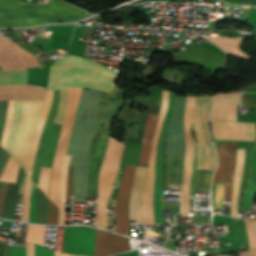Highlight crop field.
I'll use <instances>...</instances> for the list:
<instances>
[{"mask_svg": "<svg viewBox=\"0 0 256 256\" xmlns=\"http://www.w3.org/2000/svg\"><path fill=\"white\" fill-rule=\"evenodd\" d=\"M224 184L216 183L214 208L222 209L223 207Z\"/></svg>", "mask_w": 256, "mask_h": 256, "instance_id": "obj_34", "label": "crop field"}, {"mask_svg": "<svg viewBox=\"0 0 256 256\" xmlns=\"http://www.w3.org/2000/svg\"><path fill=\"white\" fill-rule=\"evenodd\" d=\"M251 223H252L253 235H254L255 246H256V221H251Z\"/></svg>", "mask_w": 256, "mask_h": 256, "instance_id": "obj_50", "label": "crop field"}, {"mask_svg": "<svg viewBox=\"0 0 256 256\" xmlns=\"http://www.w3.org/2000/svg\"><path fill=\"white\" fill-rule=\"evenodd\" d=\"M219 156V167L213 178V183H225L224 198H231L232 183L224 182L226 171V143L216 147Z\"/></svg>", "mask_w": 256, "mask_h": 256, "instance_id": "obj_19", "label": "crop field"}, {"mask_svg": "<svg viewBox=\"0 0 256 256\" xmlns=\"http://www.w3.org/2000/svg\"><path fill=\"white\" fill-rule=\"evenodd\" d=\"M10 256H26V248L11 246Z\"/></svg>", "mask_w": 256, "mask_h": 256, "instance_id": "obj_41", "label": "crop field"}, {"mask_svg": "<svg viewBox=\"0 0 256 256\" xmlns=\"http://www.w3.org/2000/svg\"><path fill=\"white\" fill-rule=\"evenodd\" d=\"M13 105H14V100L10 101L9 106H8L5 129H4V134H3V138H2V142H1V145L3 146V148L5 147V143H6V139H7V135H8L10 121H11V117H12V113H13Z\"/></svg>", "mask_w": 256, "mask_h": 256, "instance_id": "obj_35", "label": "crop field"}, {"mask_svg": "<svg viewBox=\"0 0 256 256\" xmlns=\"http://www.w3.org/2000/svg\"><path fill=\"white\" fill-rule=\"evenodd\" d=\"M36 202H37V186L31 182L29 222H32V223H35V220H36Z\"/></svg>", "mask_w": 256, "mask_h": 256, "instance_id": "obj_32", "label": "crop field"}, {"mask_svg": "<svg viewBox=\"0 0 256 256\" xmlns=\"http://www.w3.org/2000/svg\"><path fill=\"white\" fill-rule=\"evenodd\" d=\"M120 74L94 61L67 56L50 66L47 90L72 87L111 92Z\"/></svg>", "mask_w": 256, "mask_h": 256, "instance_id": "obj_1", "label": "crop field"}, {"mask_svg": "<svg viewBox=\"0 0 256 256\" xmlns=\"http://www.w3.org/2000/svg\"><path fill=\"white\" fill-rule=\"evenodd\" d=\"M34 256H54V251L48 248L42 247L35 243V255Z\"/></svg>", "mask_w": 256, "mask_h": 256, "instance_id": "obj_38", "label": "crop field"}, {"mask_svg": "<svg viewBox=\"0 0 256 256\" xmlns=\"http://www.w3.org/2000/svg\"><path fill=\"white\" fill-rule=\"evenodd\" d=\"M157 119H158V114H154V113L148 114L139 165H148L149 163L151 143H152Z\"/></svg>", "mask_w": 256, "mask_h": 256, "instance_id": "obj_18", "label": "crop field"}, {"mask_svg": "<svg viewBox=\"0 0 256 256\" xmlns=\"http://www.w3.org/2000/svg\"><path fill=\"white\" fill-rule=\"evenodd\" d=\"M81 90L79 88L69 89L68 96V106L63 123L60 139L58 142L57 150L55 153L53 165H52V175H51V186L49 198L58 205L59 199V188H60V178H61V169L66 153L73 121L75 118Z\"/></svg>", "mask_w": 256, "mask_h": 256, "instance_id": "obj_6", "label": "crop field"}, {"mask_svg": "<svg viewBox=\"0 0 256 256\" xmlns=\"http://www.w3.org/2000/svg\"><path fill=\"white\" fill-rule=\"evenodd\" d=\"M69 256H71V255H69Z\"/></svg>", "mask_w": 256, "mask_h": 256, "instance_id": "obj_56", "label": "crop field"}, {"mask_svg": "<svg viewBox=\"0 0 256 256\" xmlns=\"http://www.w3.org/2000/svg\"><path fill=\"white\" fill-rule=\"evenodd\" d=\"M176 93L171 91L168 110L164 122L163 129L160 133L158 147H157V160H156V185L153 198V210L155 216V224L162 223V199H163V151H164V138L170 121V117L174 107Z\"/></svg>", "mask_w": 256, "mask_h": 256, "instance_id": "obj_10", "label": "crop field"}, {"mask_svg": "<svg viewBox=\"0 0 256 256\" xmlns=\"http://www.w3.org/2000/svg\"><path fill=\"white\" fill-rule=\"evenodd\" d=\"M129 250V239L97 230L95 256H106Z\"/></svg>", "mask_w": 256, "mask_h": 256, "instance_id": "obj_15", "label": "crop field"}, {"mask_svg": "<svg viewBox=\"0 0 256 256\" xmlns=\"http://www.w3.org/2000/svg\"><path fill=\"white\" fill-rule=\"evenodd\" d=\"M46 227L28 225L26 242H36L43 246Z\"/></svg>", "mask_w": 256, "mask_h": 256, "instance_id": "obj_26", "label": "crop field"}, {"mask_svg": "<svg viewBox=\"0 0 256 256\" xmlns=\"http://www.w3.org/2000/svg\"><path fill=\"white\" fill-rule=\"evenodd\" d=\"M70 157L71 156H68V155L65 156L63 170H62V178H61L59 207L64 211H65V184H66L67 169H68Z\"/></svg>", "mask_w": 256, "mask_h": 256, "instance_id": "obj_29", "label": "crop field"}, {"mask_svg": "<svg viewBox=\"0 0 256 256\" xmlns=\"http://www.w3.org/2000/svg\"><path fill=\"white\" fill-rule=\"evenodd\" d=\"M26 69L0 72V84H26Z\"/></svg>", "mask_w": 256, "mask_h": 256, "instance_id": "obj_23", "label": "crop field"}, {"mask_svg": "<svg viewBox=\"0 0 256 256\" xmlns=\"http://www.w3.org/2000/svg\"><path fill=\"white\" fill-rule=\"evenodd\" d=\"M7 104H8V101L0 102V119H2L1 130H0V141H1V136H2L3 127H4Z\"/></svg>", "mask_w": 256, "mask_h": 256, "instance_id": "obj_39", "label": "crop field"}, {"mask_svg": "<svg viewBox=\"0 0 256 256\" xmlns=\"http://www.w3.org/2000/svg\"><path fill=\"white\" fill-rule=\"evenodd\" d=\"M58 224H65V213L59 209V222Z\"/></svg>", "mask_w": 256, "mask_h": 256, "instance_id": "obj_49", "label": "crop field"}, {"mask_svg": "<svg viewBox=\"0 0 256 256\" xmlns=\"http://www.w3.org/2000/svg\"><path fill=\"white\" fill-rule=\"evenodd\" d=\"M55 256H68V255L61 254V253H58V252L55 251Z\"/></svg>", "mask_w": 256, "mask_h": 256, "instance_id": "obj_51", "label": "crop field"}, {"mask_svg": "<svg viewBox=\"0 0 256 256\" xmlns=\"http://www.w3.org/2000/svg\"><path fill=\"white\" fill-rule=\"evenodd\" d=\"M45 88L29 85H0V100L43 99Z\"/></svg>", "mask_w": 256, "mask_h": 256, "instance_id": "obj_17", "label": "crop field"}, {"mask_svg": "<svg viewBox=\"0 0 256 256\" xmlns=\"http://www.w3.org/2000/svg\"><path fill=\"white\" fill-rule=\"evenodd\" d=\"M50 170L51 168L42 167L38 183V186L45 192L46 195L48 192Z\"/></svg>", "mask_w": 256, "mask_h": 256, "instance_id": "obj_33", "label": "crop field"}, {"mask_svg": "<svg viewBox=\"0 0 256 256\" xmlns=\"http://www.w3.org/2000/svg\"><path fill=\"white\" fill-rule=\"evenodd\" d=\"M212 175H197L195 189L210 190Z\"/></svg>", "mask_w": 256, "mask_h": 256, "instance_id": "obj_36", "label": "crop field"}, {"mask_svg": "<svg viewBox=\"0 0 256 256\" xmlns=\"http://www.w3.org/2000/svg\"><path fill=\"white\" fill-rule=\"evenodd\" d=\"M22 172L23 170L22 168H20L17 184L10 183L9 185L6 202H5V206H4L1 217L10 218V219H13L14 217L15 204H16V198H17V189L21 179Z\"/></svg>", "mask_w": 256, "mask_h": 256, "instance_id": "obj_22", "label": "crop field"}, {"mask_svg": "<svg viewBox=\"0 0 256 256\" xmlns=\"http://www.w3.org/2000/svg\"><path fill=\"white\" fill-rule=\"evenodd\" d=\"M47 221V198L38 188L37 221L36 223L46 224Z\"/></svg>", "mask_w": 256, "mask_h": 256, "instance_id": "obj_28", "label": "crop field"}, {"mask_svg": "<svg viewBox=\"0 0 256 256\" xmlns=\"http://www.w3.org/2000/svg\"><path fill=\"white\" fill-rule=\"evenodd\" d=\"M108 136V134H101L93 139L89 162L88 195L97 196L98 172L107 148Z\"/></svg>", "mask_w": 256, "mask_h": 256, "instance_id": "obj_14", "label": "crop field"}, {"mask_svg": "<svg viewBox=\"0 0 256 256\" xmlns=\"http://www.w3.org/2000/svg\"><path fill=\"white\" fill-rule=\"evenodd\" d=\"M91 14L70 4L49 0V6L19 0H0V27L73 21Z\"/></svg>", "mask_w": 256, "mask_h": 256, "instance_id": "obj_2", "label": "crop field"}, {"mask_svg": "<svg viewBox=\"0 0 256 256\" xmlns=\"http://www.w3.org/2000/svg\"><path fill=\"white\" fill-rule=\"evenodd\" d=\"M34 243H27V256H33Z\"/></svg>", "mask_w": 256, "mask_h": 256, "instance_id": "obj_48", "label": "crop field"}, {"mask_svg": "<svg viewBox=\"0 0 256 256\" xmlns=\"http://www.w3.org/2000/svg\"><path fill=\"white\" fill-rule=\"evenodd\" d=\"M96 230L86 227H65L63 253L94 256Z\"/></svg>", "mask_w": 256, "mask_h": 256, "instance_id": "obj_11", "label": "crop field"}, {"mask_svg": "<svg viewBox=\"0 0 256 256\" xmlns=\"http://www.w3.org/2000/svg\"><path fill=\"white\" fill-rule=\"evenodd\" d=\"M147 167L136 166L135 177L130 198L129 218H137L138 224L142 222V191L145 182Z\"/></svg>", "mask_w": 256, "mask_h": 256, "instance_id": "obj_16", "label": "crop field"}, {"mask_svg": "<svg viewBox=\"0 0 256 256\" xmlns=\"http://www.w3.org/2000/svg\"><path fill=\"white\" fill-rule=\"evenodd\" d=\"M114 256H124V253H122V254H118V255H114Z\"/></svg>", "mask_w": 256, "mask_h": 256, "instance_id": "obj_52", "label": "crop field"}, {"mask_svg": "<svg viewBox=\"0 0 256 256\" xmlns=\"http://www.w3.org/2000/svg\"><path fill=\"white\" fill-rule=\"evenodd\" d=\"M210 115L211 97H196L193 130L198 146L197 174H213L217 164L215 148L207 129Z\"/></svg>", "mask_w": 256, "mask_h": 256, "instance_id": "obj_5", "label": "crop field"}, {"mask_svg": "<svg viewBox=\"0 0 256 256\" xmlns=\"http://www.w3.org/2000/svg\"><path fill=\"white\" fill-rule=\"evenodd\" d=\"M29 199H30V180L26 179V185L24 190L23 212L21 221L28 222L29 215Z\"/></svg>", "mask_w": 256, "mask_h": 256, "instance_id": "obj_31", "label": "crop field"}, {"mask_svg": "<svg viewBox=\"0 0 256 256\" xmlns=\"http://www.w3.org/2000/svg\"><path fill=\"white\" fill-rule=\"evenodd\" d=\"M57 221H58V207L55 206L49 200L48 222H47V224H57Z\"/></svg>", "mask_w": 256, "mask_h": 256, "instance_id": "obj_37", "label": "crop field"}, {"mask_svg": "<svg viewBox=\"0 0 256 256\" xmlns=\"http://www.w3.org/2000/svg\"><path fill=\"white\" fill-rule=\"evenodd\" d=\"M227 154V174L225 181L232 182L234 174V164L236 159V143H227Z\"/></svg>", "mask_w": 256, "mask_h": 256, "instance_id": "obj_27", "label": "crop field"}, {"mask_svg": "<svg viewBox=\"0 0 256 256\" xmlns=\"http://www.w3.org/2000/svg\"><path fill=\"white\" fill-rule=\"evenodd\" d=\"M60 92V106L53 123H62L66 112L68 89L60 90Z\"/></svg>", "mask_w": 256, "mask_h": 256, "instance_id": "obj_30", "label": "crop field"}, {"mask_svg": "<svg viewBox=\"0 0 256 256\" xmlns=\"http://www.w3.org/2000/svg\"><path fill=\"white\" fill-rule=\"evenodd\" d=\"M10 246L0 243V256H9Z\"/></svg>", "mask_w": 256, "mask_h": 256, "instance_id": "obj_46", "label": "crop field"}, {"mask_svg": "<svg viewBox=\"0 0 256 256\" xmlns=\"http://www.w3.org/2000/svg\"><path fill=\"white\" fill-rule=\"evenodd\" d=\"M20 165L17 164L13 159L9 158L1 176V181L16 183Z\"/></svg>", "mask_w": 256, "mask_h": 256, "instance_id": "obj_25", "label": "crop field"}, {"mask_svg": "<svg viewBox=\"0 0 256 256\" xmlns=\"http://www.w3.org/2000/svg\"><path fill=\"white\" fill-rule=\"evenodd\" d=\"M40 66L34 55L12 41L0 37V67L2 70Z\"/></svg>", "mask_w": 256, "mask_h": 256, "instance_id": "obj_13", "label": "crop field"}, {"mask_svg": "<svg viewBox=\"0 0 256 256\" xmlns=\"http://www.w3.org/2000/svg\"><path fill=\"white\" fill-rule=\"evenodd\" d=\"M195 97H187L185 110L186 157L182 184V216H189V182L192 174L193 139L190 131L193 123Z\"/></svg>", "mask_w": 256, "mask_h": 256, "instance_id": "obj_9", "label": "crop field"}, {"mask_svg": "<svg viewBox=\"0 0 256 256\" xmlns=\"http://www.w3.org/2000/svg\"><path fill=\"white\" fill-rule=\"evenodd\" d=\"M245 222H246L250 247H251V249H253V248H255V246H254V241H253V236H252L251 223H250V221H246V220H245Z\"/></svg>", "mask_w": 256, "mask_h": 256, "instance_id": "obj_45", "label": "crop field"}, {"mask_svg": "<svg viewBox=\"0 0 256 256\" xmlns=\"http://www.w3.org/2000/svg\"><path fill=\"white\" fill-rule=\"evenodd\" d=\"M70 195H72V167H69V171H68L66 200H71Z\"/></svg>", "mask_w": 256, "mask_h": 256, "instance_id": "obj_40", "label": "crop field"}, {"mask_svg": "<svg viewBox=\"0 0 256 256\" xmlns=\"http://www.w3.org/2000/svg\"><path fill=\"white\" fill-rule=\"evenodd\" d=\"M250 185L248 187L247 192L245 193L243 197V212L246 211V209L249 206L250 202V196L251 193L253 192L256 184V145L252 150V156H251V173H250Z\"/></svg>", "mask_w": 256, "mask_h": 256, "instance_id": "obj_24", "label": "crop field"}, {"mask_svg": "<svg viewBox=\"0 0 256 256\" xmlns=\"http://www.w3.org/2000/svg\"><path fill=\"white\" fill-rule=\"evenodd\" d=\"M52 96H53L52 91H46L39 124H38L36 134H35L31 160H30V164H29V168H28V172H27V175L29 177H31V174H32L33 162H34V158H35V154H36V150H37V146H38L39 137L41 135V130H42L44 122H45V118H46V115H47V112H48V109L50 106Z\"/></svg>", "mask_w": 256, "mask_h": 256, "instance_id": "obj_20", "label": "crop field"}, {"mask_svg": "<svg viewBox=\"0 0 256 256\" xmlns=\"http://www.w3.org/2000/svg\"><path fill=\"white\" fill-rule=\"evenodd\" d=\"M217 256H225V255H217Z\"/></svg>", "mask_w": 256, "mask_h": 256, "instance_id": "obj_54", "label": "crop field"}, {"mask_svg": "<svg viewBox=\"0 0 256 256\" xmlns=\"http://www.w3.org/2000/svg\"><path fill=\"white\" fill-rule=\"evenodd\" d=\"M8 184L9 183L3 182L2 188H1V191H0V216H1L2 208H3V203H4L6 191H7V188H8Z\"/></svg>", "mask_w": 256, "mask_h": 256, "instance_id": "obj_42", "label": "crop field"}, {"mask_svg": "<svg viewBox=\"0 0 256 256\" xmlns=\"http://www.w3.org/2000/svg\"><path fill=\"white\" fill-rule=\"evenodd\" d=\"M240 93L215 95L212 119L236 120ZM214 139L254 141L255 123L212 120Z\"/></svg>", "mask_w": 256, "mask_h": 256, "instance_id": "obj_4", "label": "crop field"}, {"mask_svg": "<svg viewBox=\"0 0 256 256\" xmlns=\"http://www.w3.org/2000/svg\"><path fill=\"white\" fill-rule=\"evenodd\" d=\"M168 101H169V91L163 89L162 108L160 110V116H159L158 124L156 127V131H155L151 159L148 167V173H147V178H146V183H145V188L143 193L144 224H154V216L152 211V196H153L154 177H155L156 146H157L159 132L161 130L165 112L167 109Z\"/></svg>", "mask_w": 256, "mask_h": 256, "instance_id": "obj_8", "label": "crop field"}, {"mask_svg": "<svg viewBox=\"0 0 256 256\" xmlns=\"http://www.w3.org/2000/svg\"><path fill=\"white\" fill-rule=\"evenodd\" d=\"M9 156L3 151V149L0 146V174L8 160Z\"/></svg>", "mask_w": 256, "mask_h": 256, "instance_id": "obj_43", "label": "crop field"}, {"mask_svg": "<svg viewBox=\"0 0 256 256\" xmlns=\"http://www.w3.org/2000/svg\"><path fill=\"white\" fill-rule=\"evenodd\" d=\"M135 166L126 165L125 172L122 177L117 204L115 218V232L129 236L128 221V204L132 187Z\"/></svg>", "mask_w": 256, "mask_h": 256, "instance_id": "obj_12", "label": "crop field"}, {"mask_svg": "<svg viewBox=\"0 0 256 256\" xmlns=\"http://www.w3.org/2000/svg\"><path fill=\"white\" fill-rule=\"evenodd\" d=\"M250 86H256V83H255V84H252V85H250ZM250 86H247V87H250Z\"/></svg>", "mask_w": 256, "mask_h": 256, "instance_id": "obj_53", "label": "crop field"}, {"mask_svg": "<svg viewBox=\"0 0 256 256\" xmlns=\"http://www.w3.org/2000/svg\"><path fill=\"white\" fill-rule=\"evenodd\" d=\"M0 123H1V120H0Z\"/></svg>", "mask_w": 256, "mask_h": 256, "instance_id": "obj_55", "label": "crop field"}, {"mask_svg": "<svg viewBox=\"0 0 256 256\" xmlns=\"http://www.w3.org/2000/svg\"><path fill=\"white\" fill-rule=\"evenodd\" d=\"M244 150L245 149H237L236 170H235V176H234V182H233L232 207H231V213H232V216L234 217H237V194H238V188H239L242 171H243Z\"/></svg>", "mask_w": 256, "mask_h": 256, "instance_id": "obj_21", "label": "crop field"}, {"mask_svg": "<svg viewBox=\"0 0 256 256\" xmlns=\"http://www.w3.org/2000/svg\"><path fill=\"white\" fill-rule=\"evenodd\" d=\"M43 100H15L14 113L5 150L27 172L35 130Z\"/></svg>", "mask_w": 256, "mask_h": 256, "instance_id": "obj_3", "label": "crop field"}, {"mask_svg": "<svg viewBox=\"0 0 256 256\" xmlns=\"http://www.w3.org/2000/svg\"><path fill=\"white\" fill-rule=\"evenodd\" d=\"M239 256H256V249L245 251L238 254Z\"/></svg>", "mask_w": 256, "mask_h": 256, "instance_id": "obj_47", "label": "crop field"}, {"mask_svg": "<svg viewBox=\"0 0 256 256\" xmlns=\"http://www.w3.org/2000/svg\"><path fill=\"white\" fill-rule=\"evenodd\" d=\"M124 144L111 137L109 149L99 178V203L97 213V226L105 228V211L107 198L110 196L113 183L118 171Z\"/></svg>", "mask_w": 256, "mask_h": 256, "instance_id": "obj_7", "label": "crop field"}, {"mask_svg": "<svg viewBox=\"0 0 256 256\" xmlns=\"http://www.w3.org/2000/svg\"><path fill=\"white\" fill-rule=\"evenodd\" d=\"M242 104H245V105H248V106H251V107H256V99L254 98H250V97H247V96H244L242 97V101H241Z\"/></svg>", "mask_w": 256, "mask_h": 256, "instance_id": "obj_44", "label": "crop field"}]
</instances>
